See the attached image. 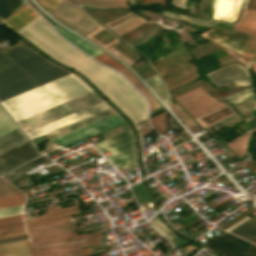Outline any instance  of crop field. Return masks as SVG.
Here are the masks:
<instances>
[{
    "mask_svg": "<svg viewBox=\"0 0 256 256\" xmlns=\"http://www.w3.org/2000/svg\"><path fill=\"white\" fill-rule=\"evenodd\" d=\"M167 123L166 112L158 114L152 118H150L151 126L160 134L165 132Z\"/></svg>",
    "mask_w": 256,
    "mask_h": 256,
    "instance_id": "1d83c4d3",
    "label": "crop field"
},
{
    "mask_svg": "<svg viewBox=\"0 0 256 256\" xmlns=\"http://www.w3.org/2000/svg\"><path fill=\"white\" fill-rule=\"evenodd\" d=\"M76 4H90L97 6L126 7L124 0H68Z\"/></svg>",
    "mask_w": 256,
    "mask_h": 256,
    "instance_id": "d3111659",
    "label": "crop field"
},
{
    "mask_svg": "<svg viewBox=\"0 0 256 256\" xmlns=\"http://www.w3.org/2000/svg\"><path fill=\"white\" fill-rule=\"evenodd\" d=\"M27 234L25 231V228L23 225L6 228V229H0V239L14 237V236H20Z\"/></svg>",
    "mask_w": 256,
    "mask_h": 256,
    "instance_id": "120bbe31",
    "label": "crop field"
},
{
    "mask_svg": "<svg viewBox=\"0 0 256 256\" xmlns=\"http://www.w3.org/2000/svg\"><path fill=\"white\" fill-rule=\"evenodd\" d=\"M41 5L50 8L54 10L61 2L62 0H38Z\"/></svg>",
    "mask_w": 256,
    "mask_h": 256,
    "instance_id": "c035e120",
    "label": "crop field"
},
{
    "mask_svg": "<svg viewBox=\"0 0 256 256\" xmlns=\"http://www.w3.org/2000/svg\"><path fill=\"white\" fill-rule=\"evenodd\" d=\"M138 18V17H137ZM136 19V18H135ZM134 20V19H133ZM132 21V20H131ZM130 22V21H129ZM128 23V22H127ZM126 23H124V24H122V25H120V26H118V27H116V28H114V29H112L113 31L114 30H116V29H118L119 27H121V26H123V25H125Z\"/></svg>",
    "mask_w": 256,
    "mask_h": 256,
    "instance_id": "d23c7cc5",
    "label": "crop field"
},
{
    "mask_svg": "<svg viewBox=\"0 0 256 256\" xmlns=\"http://www.w3.org/2000/svg\"><path fill=\"white\" fill-rule=\"evenodd\" d=\"M176 100L194 119L225 105L224 101L217 102L201 87L176 97Z\"/></svg>",
    "mask_w": 256,
    "mask_h": 256,
    "instance_id": "3316defc",
    "label": "crop field"
},
{
    "mask_svg": "<svg viewBox=\"0 0 256 256\" xmlns=\"http://www.w3.org/2000/svg\"><path fill=\"white\" fill-rule=\"evenodd\" d=\"M0 256H33L28 240L0 245Z\"/></svg>",
    "mask_w": 256,
    "mask_h": 256,
    "instance_id": "bc2a9ffb",
    "label": "crop field"
},
{
    "mask_svg": "<svg viewBox=\"0 0 256 256\" xmlns=\"http://www.w3.org/2000/svg\"><path fill=\"white\" fill-rule=\"evenodd\" d=\"M204 245L224 256H256L255 245L225 231L221 232Z\"/></svg>",
    "mask_w": 256,
    "mask_h": 256,
    "instance_id": "5a996713",
    "label": "crop field"
},
{
    "mask_svg": "<svg viewBox=\"0 0 256 256\" xmlns=\"http://www.w3.org/2000/svg\"><path fill=\"white\" fill-rule=\"evenodd\" d=\"M172 110L178 115V117L188 126H193L195 123L191 120V118L185 114L176 103L171 106Z\"/></svg>",
    "mask_w": 256,
    "mask_h": 256,
    "instance_id": "e1f06a70",
    "label": "crop field"
},
{
    "mask_svg": "<svg viewBox=\"0 0 256 256\" xmlns=\"http://www.w3.org/2000/svg\"><path fill=\"white\" fill-rule=\"evenodd\" d=\"M24 204L23 194L0 178V209Z\"/></svg>",
    "mask_w": 256,
    "mask_h": 256,
    "instance_id": "d9b57169",
    "label": "crop field"
},
{
    "mask_svg": "<svg viewBox=\"0 0 256 256\" xmlns=\"http://www.w3.org/2000/svg\"><path fill=\"white\" fill-rule=\"evenodd\" d=\"M103 154L110 151L106 158L118 170L126 169L137 164L133 136L130 130L94 144Z\"/></svg>",
    "mask_w": 256,
    "mask_h": 256,
    "instance_id": "dd49c442",
    "label": "crop field"
},
{
    "mask_svg": "<svg viewBox=\"0 0 256 256\" xmlns=\"http://www.w3.org/2000/svg\"><path fill=\"white\" fill-rule=\"evenodd\" d=\"M32 246L72 242L82 238L99 237L100 232L77 236L71 222L28 230Z\"/></svg>",
    "mask_w": 256,
    "mask_h": 256,
    "instance_id": "e52e79f7",
    "label": "crop field"
},
{
    "mask_svg": "<svg viewBox=\"0 0 256 256\" xmlns=\"http://www.w3.org/2000/svg\"><path fill=\"white\" fill-rule=\"evenodd\" d=\"M186 0H173L172 4L177 8L185 9Z\"/></svg>",
    "mask_w": 256,
    "mask_h": 256,
    "instance_id": "03da06ac",
    "label": "crop field"
},
{
    "mask_svg": "<svg viewBox=\"0 0 256 256\" xmlns=\"http://www.w3.org/2000/svg\"><path fill=\"white\" fill-rule=\"evenodd\" d=\"M41 155L40 151L29 140L0 155V175Z\"/></svg>",
    "mask_w": 256,
    "mask_h": 256,
    "instance_id": "d1516ede",
    "label": "crop field"
},
{
    "mask_svg": "<svg viewBox=\"0 0 256 256\" xmlns=\"http://www.w3.org/2000/svg\"><path fill=\"white\" fill-rule=\"evenodd\" d=\"M46 161H49V159H47L45 156H41V157H39V158H37V159H35V160L25 164V165L13 170L9 174L5 175L3 178L10 182L13 179H15L16 177H18L19 175H21L22 173H24V172L21 171L24 168H26V167L32 168V167L37 166L39 164H42Z\"/></svg>",
    "mask_w": 256,
    "mask_h": 256,
    "instance_id": "ae1a2a85",
    "label": "crop field"
},
{
    "mask_svg": "<svg viewBox=\"0 0 256 256\" xmlns=\"http://www.w3.org/2000/svg\"><path fill=\"white\" fill-rule=\"evenodd\" d=\"M113 114H115V112H114L111 108H109V109L104 110V111H102V112H100V113H97V114H95V115H92V116H90V117H87V118H85V119H82V120H80V121H78V122H75V123L70 124V125H68V126H65V127H63V128H60V129H58V130H56V131H53V132H51V133H48V134H46V137H47L49 140H52V139L57 138V137H59V136H61V135H64V134H66V133H69V132H71V131H74V130H76V129H79V128L83 127V126H86V125H88V124H91V123H93V122H96V121H98V120H101V119H103V118H105V117H108V116H110V115H113Z\"/></svg>",
    "mask_w": 256,
    "mask_h": 256,
    "instance_id": "733c2abd",
    "label": "crop field"
},
{
    "mask_svg": "<svg viewBox=\"0 0 256 256\" xmlns=\"http://www.w3.org/2000/svg\"><path fill=\"white\" fill-rule=\"evenodd\" d=\"M157 25H159V24L156 23V24H154L153 26H151V27L145 29L144 31H142V32H140V33H138V34L140 35V34L146 32L147 30H149V29H151V28H153V27H155V26H157Z\"/></svg>",
    "mask_w": 256,
    "mask_h": 256,
    "instance_id": "5d738f31",
    "label": "crop field"
},
{
    "mask_svg": "<svg viewBox=\"0 0 256 256\" xmlns=\"http://www.w3.org/2000/svg\"><path fill=\"white\" fill-rule=\"evenodd\" d=\"M23 5H25L23 0H0V19H6Z\"/></svg>",
    "mask_w": 256,
    "mask_h": 256,
    "instance_id": "730fd06b",
    "label": "crop field"
},
{
    "mask_svg": "<svg viewBox=\"0 0 256 256\" xmlns=\"http://www.w3.org/2000/svg\"><path fill=\"white\" fill-rule=\"evenodd\" d=\"M162 13L165 14V15H168V16L184 19V20H187V21L199 23V24H202V25L210 26V27L214 23L212 21L198 19V18H193V17H187V16H183V15H180V14H177V13L168 12V11H163Z\"/></svg>",
    "mask_w": 256,
    "mask_h": 256,
    "instance_id": "d32e631a",
    "label": "crop field"
},
{
    "mask_svg": "<svg viewBox=\"0 0 256 256\" xmlns=\"http://www.w3.org/2000/svg\"><path fill=\"white\" fill-rule=\"evenodd\" d=\"M122 123H124V121L117 114H115L52 141L65 147Z\"/></svg>",
    "mask_w": 256,
    "mask_h": 256,
    "instance_id": "28ad6ade",
    "label": "crop field"
},
{
    "mask_svg": "<svg viewBox=\"0 0 256 256\" xmlns=\"http://www.w3.org/2000/svg\"><path fill=\"white\" fill-rule=\"evenodd\" d=\"M242 74H245L244 69L241 66H239L237 63H235V64H232V65L220 68V69H218V70H216V71H214L212 73H209L207 75L209 77V80L216 85V84H218L220 82L228 81V80H230L232 78H235L237 76H240ZM247 76L248 75H246L244 77H247ZM244 77H241V78H244ZM241 78H238V79H241ZM238 79H236V80H238ZM236 80H233V81L230 80L231 82H229V81L228 82L232 83V82H234ZM229 83H226V84H229ZM221 84H223V83H221ZM221 84H218V85H221ZM226 84H223V85H226ZM218 85H216V86H218Z\"/></svg>",
    "mask_w": 256,
    "mask_h": 256,
    "instance_id": "4a817a6b",
    "label": "crop field"
},
{
    "mask_svg": "<svg viewBox=\"0 0 256 256\" xmlns=\"http://www.w3.org/2000/svg\"><path fill=\"white\" fill-rule=\"evenodd\" d=\"M98 240L99 238H96L75 243L36 247L33 249L36 256H89L91 249L81 251L80 247L73 246L77 244H81V246L95 244L98 242Z\"/></svg>",
    "mask_w": 256,
    "mask_h": 256,
    "instance_id": "cbeb9de0",
    "label": "crop field"
},
{
    "mask_svg": "<svg viewBox=\"0 0 256 256\" xmlns=\"http://www.w3.org/2000/svg\"><path fill=\"white\" fill-rule=\"evenodd\" d=\"M107 108H109V106L106 105L104 102H102L100 104H97L95 106H92L90 108H87L85 110L77 112L75 114H72L70 116H67L65 118H62L60 120H57V121L52 122L50 124H47L45 126H42V127L37 128L35 130L27 132V135L30 137V139L38 137L40 135L46 134L48 132H51V131H53L55 129H58L60 127H63V126L68 125L70 123H73V122H75L77 120H80L82 118H85L87 116L95 114V113H97L99 111H102L104 109H107Z\"/></svg>",
    "mask_w": 256,
    "mask_h": 256,
    "instance_id": "5142ce71",
    "label": "crop field"
},
{
    "mask_svg": "<svg viewBox=\"0 0 256 256\" xmlns=\"http://www.w3.org/2000/svg\"><path fill=\"white\" fill-rule=\"evenodd\" d=\"M254 108H255V100L236 107V109L238 110V112L240 114L247 111V110H251V109H254Z\"/></svg>",
    "mask_w": 256,
    "mask_h": 256,
    "instance_id": "c21b1889",
    "label": "crop field"
},
{
    "mask_svg": "<svg viewBox=\"0 0 256 256\" xmlns=\"http://www.w3.org/2000/svg\"><path fill=\"white\" fill-rule=\"evenodd\" d=\"M248 219H249V218L246 217V218L242 219L241 221L235 223L234 225L230 226V227L227 228L226 230L230 231V230L234 229L235 227H237L238 225L242 224L243 222H245V221L248 220Z\"/></svg>",
    "mask_w": 256,
    "mask_h": 256,
    "instance_id": "b54c1fbb",
    "label": "crop field"
},
{
    "mask_svg": "<svg viewBox=\"0 0 256 256\" xmlns=\"http://www.w3.org/2000/svg\"><path fill=\"white\" fill-rule=\"evenodd\" d=\"M29 140L19 128L0 138V154Z\"/></svg>",
    "mask_w": 256,
    "mask_h": 256,
    "instance_id": "92a150f3",
    "label": "crop field"
},
{
    "mask_svg": "<svg viewBox=\"0 0 256 256\" xmlns=\"http://www.w3.org/2000/svg\"><path fill=\"white\" fill-rule=\"evenodd\" d=\"M51 14L65 25L80 32L84 36L101 26L82 9L72 6L64 1Z\"/></svg>",
    "mask_w": 256,
    "mask_h": 256,
    "instance_id": "d8731c3e",
    "label": "crop field"
},
{
    "mask_svg": "<svg viewBox=\"0 0 256 256\" xmlns=\"http://www.w3.org/2000/svg\"><path fill=\"white\" fill-rule=\"evenodd\" d=\"M91 91L79 78L70 74L1 104L17 121Z\"/></svg>",
    "mask_w": 256,
    "mask_h": 256,
    "instance_id": "34b2d1b8",
    "label": "crop field"
},
{
    "mask_svg": "<svg viewBox=\"0 0 256 256\" xmlns=\"http://www.w3.org/2000/svg\"><path fill=\"white\" fill-rule=\"evenodd\" d=\"M162 29H164V27L159 25V26L153 28L152 30L146 32L145 34L141 35L140 37L134 39L133 41H131V42L127 43V44H129L131 47L134 48V47L138 46L139 44H141L142 42H144L147 39H149V36L157 33L158 31H160Z\"/></svg>",
    "mask_w": 256,
    "mask_h": 256,
    "instance_id": "5866460e",
    "label": "crop field"
},
{
    "mask_svg": "<svg viewBox=\"0 0 256 256\" xmlns=\"http://www.w3.org/2000/svg\"><path fill=\"white\" fill-rule=\"evenodd\" d=\"M15 127H17L16 123L11 119V117L6 113V111L0 105V135L15 128Z\"/></svg>",
    "mask_w": 256,
    "mask_h": 256,
    "instance_id": "750c4746",
    "label": "crop field"
},
{
    "mask_svg": "<svg viewBox=\"0 0 256 256\" xmlns=\"http://www.w3.org/2000/svg\"><path fill=\"white\" fill-rule=\"evenodd\" d=\"M77 205L61 208L55 206L46 213L42 214L38 218L25 221L26 228H35L46 225H52L57 223L66 222L72 219L70 216L79 214Z\"/></svg>",
    "mask_w": 256,
    "mask_h": 256,
    "instance_id": "22f410ed",
    "label": "crop field"
},
{
    "mask_svg": "<svg viewBox=\"0 0 256 256\" xmlns=\"http://www.w3.org/2000/svg\"><path fill=\"white\" fill-rule=\"evenodd\" d=\"M234 30L253 34L250 42L248 43L251 37L250 34L217 26H214L211 30L202 35L240 54L248 43L243 55L251 58L256 49V11L245 9L239 23L235 25Z\"/></svg>",
    "mask_w": 256,
    "mask_h": 256,
    "instance_id": "412701ff",
    "label": "crop field"
},
{
    "mask_svg": "<svg viewBox=\"0 0 256 256\" xmlns=\"http://www.w3.org/2000/svg\"><path fill=\"white\" fill-rule=\"evenodd\" d=\"M254 129H251L245 133H243L240 137L235 139L234 141L226 144L229 148H231L241 159L244 157L249 138Z\"/></svg>",
    "mask_w": 256,
    "mask_h": 256,
    "instance_id": "4177f3b9",
    "label": "crop field"
},
{
    "mask_svg": "<svg viewBox=\"0 0 256 256\" xmlns=\"http://www.w3.org/2000/svg\"><path fill=\"white\" fill-rule=\"evenodd\" d=\"M36 16L38 15L25 5L8 19H6L5 23L17 31Z\"/></svg>",
    "mask_w": 256,
    "mask_h": 256,
    "instance_id": "214f88e0",
    "label": "crop field"
},
{
    "mask_svg": "<svg viewBox=\"0 0 256 256\" xmlns=\"http://www.w3.org/2000/svg\"><path fill=\"white\" fill-rule=\"evenodd\" d=\"M0 52V102L70 74L42 58L21 41Z\"/></svg>",
    "mask_w": 256,
    "mask_h": 256,
    "instance_id": "ac0d7876",
    "label": "crop field"
},
{
    "mask_svg": "<svg viewBox=\"0 0 256 256\" xmlns=\"http://www.w3.org/2000/svg\"><path fill=\"white\" fill-rule=\"evenodd\" d=\"M54 27L60 35H62L63 37H65L66 39H68L69 41H71L81 49H83L85 52H87L91 56L95 57L103 53L102 51L96 49L95 47L89 45L88 43L84 42L83 40L79 39L78 37L66 31L65 29L61 28L60 26L56 25Z\"/></svg>",
    "mask_w": 256,
    "mask_h": 256,
    "instance_id": "00972430",
    "label": "crop field"
},
{
    "mask_svg": "<svg viewBox=\"0 0 256 256\" xmlns=\"http://www.w3.org/2000/svg\"><path fill=\"white\" fill-rule=\"evenodd\" d=\"M157 229L158 231L169 241L171 242L175 247L180 246L182 244L188 243V241L178 237L176 234H174L170 229H168L158 218L156 215L151 221H150Z\"/></svg>",
    "mask_w": 256,
    "mask_h": 256,
    "instance_id": "a9b5d70f",
    "label": "crop field"
},
{
    "mask_svg": "<svg viewBox=\"0 0 256 256\" xmlns=\"http://www.w3.org/2000/svg\"><path fill=\"white\" fill-rule=\"evenodd\" d=\"M23 207H24V205L17 206V207L6 208V209H1L0 210V217L20 214L23 211Z\"/></svg>",
    "mask_w": 256,
    "mask_h": 256,
    "instance_id": "b80d0937",
    "label": "crop field"
},
{
    "mask_svg": "<svg viewBox=\"0 0 256 256\" xmlns=\"http://www.w3.org/2000/svg\"><path fill=\"white\" fill-rule=\"evenodd\" d=\"M102 102L93 92L17 121L27 132L92 105Z\"/></svg>",
    "mask_w": 256,
    "mask_h": 256,
    "instance_id": "f4fd0767",
    "label": "crop field"
},
{
    "mask_svg": "<svg viewBox=\"0 0 256 256\" xmlns=\"http://www.w3.org/2000/svg\"><path fill=\"white\" fill-rule=\"evenodd\" d=\"M144 22H146V21L143 18L140 17V18L126 24L125 26L121 27L120 29H118L114 32H116L120 36V35L126 33L127 31L131 30L132 28H134V27H136V26H138V25H140Z\"/></svg>",
    "mask_w": 256,
    "mask_h": 256,
    "instance_id": "0bd39190",
    "label": "crop field"
},
{
    "mask_svg": "<svg viewBox=\"0 0 256 256\" xmlns=\"http://www.w3.org/2000/svg\"><path fill=\"white\" fill-rule=\"evenodd\" d=\"M256 171V170H255Z\"/></svg>",
    "mask_w": 256,
    "mask_h": 256,
    "instance_id": "25e5ab78",
    "label": "crop field"
},
{
    "mask_svg": "<svg viewBox=\"0 0 256 256\" xmlns=\"http://www.w3.org/2000/svg\"><path fill=\"white\" fill-rule=\"evenodd\" d=\"M147 83L152 87V89L156 92V94L163 99L167 105L169 106V97L168 92L164 86V84L160 81L157 75L152 76L150 78L145 79ZM165 103V104H166Z\"/></svg>",
    "mask_w": 256,
    "mask_h": 256,
    "instance_id": "eef30255",
    "label": "crop field"
},
{
    "mask_svg": "<svg viewBox=\"0 0 256 256\" xmlns=\"http://www.w3.org/2000/svg\"><path fill=\"white\" fill-rule=\"evenodd\" d=\"M230 232L256 244V216Z\"/></svg>",
    "mask_w": 256,
    "mask_h": 256,
    "instance_id": "dafd665d",
    "label": "crop field"
},
{
    "mask_svg": "<svg viewBox=\"0 0 256 256\" xmlns=\"http://www.w3.org/2000/svg\"><path fill=\"white\" fill-rule=\"evenodd\" d=\"M17 32L57 60L82 72L116 103L134 123L146 118L147 103L128 81L119 73L97 64L58 37L39 16Z\"/></svg>",
    "mask_w": 256,
    "mask_h": 256,
    "instance_id": "8a807250",
    "label": "crop field"
},
{
    "mask_svg": "<svg viewBox=\"0 0 256 256\" xmlns=\"http://www.w3.org/2000/svg\"><path fill=\"white\" fill-rule=\"evenodd\" d=\"M253 59H255L254 62L256 63V52H255V54L253 56Z\"/></svg>",
    "mask_w": 256,
    "mask_h": 256,
    "instance_id": "425ffa30",
    "label": "crop field"
},
{
    "mask_svg": "<svg viewBox=\"0 0 256 256\" xmlns=\"http://www.w3.org/2000/svg\"><path fill=\"white\" fill-rule=\"evenodd\" d=\"M125 76H127L148 98L151 106V110L159 107L158 103L155 99L151 96V94L142 86V84L131 74V72L126 68L121 71ZM126 77V78H127ZM127 78V79H128ZM150 110V111H151Z\"/></svg>",
    "mask_w": 256,
    "mask_h": 256,
    "instance_id": "bd1437ed",
    "label": "crop field"
},
{
    "mask_svg": "<svg viewBox=\"0 0 256 256\" xmlns=\"http://www.w3.org/2000/svg\"><path fill=\"white\" fill-rule=\"evenodd\" d=\"M95 59H97L98 61L112 67L115 68L117 70H122L126 67H124L123 65H121L119 62H117L116 60L112 59L111 57L107 56L105 53L95 57Z\"/></svg>",
    "mask_w": 256,
    "mask_h": 256,
    "instance_id": "028f5c9d",
    "label": "crop field"
}]
</instances>
